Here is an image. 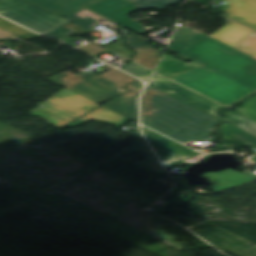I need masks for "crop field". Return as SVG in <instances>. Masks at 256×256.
Instances as JSON below:
<instances>
[{
	"label": "crop field",
	"mask_w": 256,
	"mask_h": 256,
	"mask_svg": "<svg viewBox=\"0 0 256 256\" xmlns=\"http://www.w3.org/2000/svg\"><path fill=\"white\" fill-rule=\"evenodd\" d=\"M226 140L241 141L244 145L256 150V137L231 125L222 126Z\"/></svg>",
	"instance_id": "crop-field-18"
},
{
	"label": "crop field",
	"mask_w": 256,
	"mask_h": 256,
	"mask_svg": "<svg viewBox=\"0 0 256 256\" xmlns=\"http://www.w3.org/2000/svg\"><path fill=\"white\" fill-rule=\"evenodd\" d=\"M87 8L139 34L151 31L149 28L129 17L128 14L140 9L133 2L127 0H103Z\"/></svg>",
	"instance_id": "crop-field-5"
},
{
	"label": "crop field",
	"mask_w": 256,
	"mask_h": 256,
	"mask_svg": "<svg viewBox=\"0 0 256 256\" xmlns=\"http://www.w3.org/2000/svg\"><path fill=\"white\" fill-rule=\"evenodd\" d=\"M225 121L251 133L256 135V122L244 117L238 113L230 112L227 113V117Z\"/></svg>",
	"instance_id": "crop-field-21"
},
{
	"label": "crop field",
	"mask_w": 256,
	"mask_h": 256,
	"mask_svg": "<svg viewBox=\"0 0 256 256\" xmlns=\"http://www.w3.org/2000/svg\"><path fill=\"white\" fill-rule=\"evenodd\" d=\"M128 121H129V120H127V119L124 118L120 123L116 124V126L120 127V126H122L123 124L127 123Z\"/></svg>",
	"instance_id": "crop-field-31"
},
{
	"label": "crop field",
	"mask_w": 256,
	"mask_h": 256,
	"mask_svg": "<svg viewBox=\"0 0 256 256\" xmlns=\"http://www.w3.org/2000/svg\"><path fill=\"white\" fill-rule=\"evenodd\" d=\"M87 101L88 103H84ZM57 110H60L74 118L99 105L79 94L63 89L43 102Z\"/></svg>",
	"instance_id": "crop-field-8"
},
{
	"label": "crop field",
	"mask_w": 256,
	"mask_h": 256,
	"mask_svg": "<svg viewBox=\"0 0 256 256\" xmlns=\"http://www.w3.org/2000/svg\"><path fill=\"white\" fill-rule=\"evenodd\" d=\"M225 4L223 15L256 31V0H220Z\"/></svg>",
	"instance_id": "crop-field-10"
},
{
	"label": "crop field",
	"mask_w": 256,
	"mask_h": 256,
	"mask_svg": "<svg viewBox=\"0 0 256 256\" xmlns=\"http://www.w3.org/2000/svg\"><path fill=\"white\" fill-rule=\"evenodd\" d=\"M145 81H147L151 75V71L131 62L128 65H126L125 67L121 68Z\"/></svg>",
	"instance_id": "crop-field-25"
},
{
	"label": "crop field",
	"mask_w": 256,
	"mask_h": 256,
	"mask_svg": "<svg viewBox=\"0 0 256 256\" xmlns=\"http://www.w3.org/2000/svg\"><path fill=\"white\" fill-rule=\"evenodd\" d=\"M39 108L33 110L31 115L43 118L48 124L57 128L69 123L74 118L57 111L43 103L37 104Z\"/></svg>",
	"instance_id": "crop-field-17"
},
{
	"label": "crop field",
	"mask_w": 256,
	"mask_h": 256,
	"mask_svg": "<svg viewBox=\"0 0 256 256\" xmlns=\"http://www.w3.org/2000/svg\"><path fill=\"white\" fill-rule=\"evenodd\" d=\"M251 32L252 31L230 21L210 37L232 46Z\"/></svg>",
	"instance_id": "crop-field-15"
},
{
	"label": "crop field",
	"mask_w": 256,
	"mask_h": 256,
	"mask_svg": "<svg viewBox=\"0 0 256 256\" xmlns=\"http://www.w3.org/2000/svg\"><path fill=\"white\" fill-rule=\"evenodd\" d=\"M140 6L143 10L155 8L161 10L181 0H131Z\"/></svg>",
	"instance_id": "crop-field-24"
},
{
	"label": "crop field",
	"mask_w": 256,
	"mask_h": 256,
	"mask_svg": "<svg viewBox=\"0 0 256 256\" xmlns=\"http://www.w3.org/2000/svg\"><path fill=\"white\" fill-rule=\"evenodd\" d=\"M0 15L58 40L74 35L59 27L69 21L25 0H0Z\"/></svg>",
	"instance_id": "crop-field-4"
},
{
	"label": "crop field",
	"mask_w": 256,
	"mask_h": 256,
	"mask_svg": "<svg viewBox=\"0 0 256 256\" xmlns=\"http://www.w3.org/2000/svg\"><path fill=\"white\" fill-rule=\"evenodd\" d=\"M104 46L107 47L108 49L126 57V58H129V59H131V57L133 55L132 51L125 48V43L122 38L116 39L115 43L106 44Z\"/></svg>",
	"instance_id": "crop-field-26"
},
{
	"label": "crop field",
	"mask_w": 256,
	"mask_h": 256,
	"mask_svg": "<svg viewBox=\"0 0 256 256\" xmlns=\"http://www.w3.org/2000/svg\"><path fill=\"white\" fill-rule=\"evenodd\" d=\"M210 154H200L194 158H191L185 162H189V163H194V162H197V161H200V160H203L205 159L206 157H208Z\"/></svg>",
	"instance_id": "crop-field-28"
},
{
	"label": "crop field",
	"mask_w": 256,
	"mask_h": 256,
	"mask_svg": "<svg viewBox=\"0 0 256 256\" xmlns=\"http://www.w3.org/2000/svg\"><path fill=\"white\" fill-rule=\"evenodd\" d=\"M233 47L256 58V33H251Z\"/></svg>",
	"instance_id": "crop-field-23"
},
{
	"label": "crop field",
	"mask_w": 256,
	"mask_h": 256,
	"mask_svg": "<svg viewBox=\"0 0 256 256\" xmlns=\"http://www.w3.org/2000/svg\"><path fill=\"white\" fill-rule=\"evenodd\" d=\"M204 176L214 182V184L210 187L214 192L227 190L256 180V174L254 173H252L250 177H246L231 169L222 171L220 173L205 174Z\"/></svg>",
	"instance_id": "crop-field-12"
},
{
	"label": "crop field",
	"mask_w": 256,
	"mask_h": 256,
	"mask_svg": "<svg viewBox=\"0 0 256 256\" xmlns=\"http://www.w3.org/2000/svg\"><path fill=\"white\" fill-rule=\"evenodd\" d=\"M208 38L210 37L194 32L189 28L178 26L176 33L173 35L169 43V48L182 53Z\"/></svg>",
	"instance_id": "crop-field-13"
},
{
	"label": "crop field",
	"mask_w": 256,
	"mask_h": 256,
	"mask_svg": "<svg viewBox=\"0 0 256 256\" xmlns=\"http://www.w3.org/2000/svg\"><path fill=\"white\" fill-rule=\"evenodd\" d=\"M0 37H9V38H13V39H20L16 36L6 32V31L2 30V29H0Z\"/></svg>",
	"instance_id": "crop-field-29"
},
{
	"label": "crop field",
	"mask_w": 256,
	"mask_h": 256,
	"mask_svg": "<svg viewBox=\"0 0 256 256\" xmlns=\"http://www.w3.org/2000/svg\"><path fill=\"white\" fill-rule=\"evenodd\" d=\"M82 123H84V122H82V121H80V120H77V121H75V122L69 124L68 126L62 128L61 130L65 129V128H67V127H72V128H74V127H76V126H78V125H80V124H82Z\"/></svg>",
	"instance_id": "crop-field-30"
},
{
	"label": "crop field",
	"mask_w": 256,
	"mask_h": 256,
	"mask_svg": "<svg viewBox=\"0 0 256 256\" xmlns=\"http://www.w3.org/2000/svg\"><path fill=\"white\" fill-rule=\"evenodd\" d=\"M102 67L109 71L100 76L66 71L48 79L100 104L126 92L122 87L135 80L108 65Z\"/></svg>",
	"instance_id": "crop-field-3"
},
{
	"label": "crop field",
	"mask_w": 256,
	"mask_h": 256,
	"mask_svg": "<svg viewBox=\"0 0 256 256\" xmlns=\"http://www.w3.org/2000/svg\"><path fill=\"white\" fill-rule=\"evenodd\" d=\"M0 28L20 37V38H25V39H33V38H36L38 36H41V35H38V34H35V33H31L17 25H14L8 21H5L3 19L0 18Z\"/></svg>",
	"instance_id": "crop-field-22"
},
{
	"label": "crop field",
	"mask_w": 256,
	"mask_h": 256,
	"mask_svg": "<svg viewBox=\"0 0 256 256\" xmlns=\"http://www.w3.org/2000/svg\"><path fill=\"white\" fill-rule=\"evenodd\" d=\"M57 15H64L79 8L94 4L101 0H27Z\"/></svg>",
	"instance_id": "crop-field-14"
},
{
	"label": "crop field",
	"mask_w": 256,
	"mask_h": 256,
	"mask_svg": "<svg viewBox=\"0 0 256 256\" xmlns=\"http://www.w3.org/2000/svg\"><path fill=\"white\" fill-rule=\"evenodd\" d=\"M146 137L149 139L165 166L175 162L187 160L193 156L198 155L194 150H191L163 135H160L147 128H143Z\"/></svg>",
	"instance_id": "crop-field-7"
},
{
	"label": "crop field",
	"mask_w": 256,
	"mask_h": 256,
	"mask_svg": "<svg viewBox=\"0 0 256 256\" xmlns=\"http://www.w3.org/2000/svg\"><path fill=\"white\" fill-rule=\"evenodd\" d=\"M124 37L129 48L136 52L132 61L154 70L163 54L148 45L149 40L143 38L141 35L130 33Z\"/></svg>",
	"instance_id": "crop-field-9"
},
{
	"label": "crop field",
	"mask_w": 256,
	"mask_h": 256,
	"mask_svg": "<svg viewBox=\"0 0 256 256\" xmlns=\"http://www.w3.org/2000/svg\"><path fill=\"white\" fill-rule=\"evenodd\" d=\"M203 66L172 80L225 106L256 91V59L213 38L180 54Z\"/></svg>",
	"instance_id": "crop-field-1"
},
{
	"label": "crop field",
	"mask_w": 256,
	"mask_h": 256,
	"mask_svg": "<svg viewBox=\"0 0 256 256\" xmlns=\"http://www.w3.org/2000/svg\"><path fill=\"white\" fill-rule=\"evenodd\" d=\"M199 66L201 65L193 61L189 64H186L182 61L175 60L169 56H164L162 62L157 67L156 72L163 74L169 78H172L183 73H186L190 70H193Z\"/></svg>",
	"instance_id": "crop-field-16"
},
{
	"label": "crop field",
	"mask_w": 256,
	"mask_h": 256,
	"mask_svg": "<svg viewBox=\"0 0 256 256\" xmlns=\"http://www.w3.org/2000/svg\"><path fill=\"white\" fill-rule=\"evenodd\" d=\"M149 84L179 99H182L218 118L220 117L217 115V110L223 106L199 94H196L156 73L154 74Z\"/></svg>",
	"instance_id": "crop-field-6"
},
{
	"label": "crop field",
	"mask_w": 256,
	"mask_h": 256,
	"mask_svg": "<svg viewBox=\"0 0 256 256\" xmlns=\"http://www.w3.org/2000/svg\"><path fill=\"white\" fill-rule=\"evenodd\" d=\"M237 112L256 121V96L246 101Z\"/></svg>",
	"instance_id": "crop-field-27"
},
{
	"label": "crop field",
	"mask_w": 256,
	"mask_h": 256,
	"mask_svg": "<svg viewBox=\"0 0 256 256\" xmlns=\"http://www.w3.org/2000/svg\"><path fill=\"white\" fill-rule=\"evenodd\" d=\"M62 17L89 31L92 24L102 18L86 9Z\"/></svg>",
	"instance_id": "crop-field-19"
},
{
	"label": "crop field",
	"mask_w": 256,
	"mask_h": 256,
	"mask_svg": "<svg viewBox=\"0 0 256 256\" xmlns=\"http://www.w3.org/2000/svg\"><path fill=\"white\" fill-rule=\"evenodd\" d=\"M130 90L129 93L103 105L135 122L138 121L137 116V96L143 89L142 82H135L127 87Z\"/></svg>",
	"instance_id": "crop-field-11"
},
{
	"label": "crop field",
	"mask_w": 256,
	"mask_h": 256,
	"mask_svg": "<svg viewBox=\"0 0 256 256\" xmlns=\"http://www.w3.org/2000/svg\"><path fill=\"white\" fill-rule=\"evenodd\" d=\"M142 123L178 141L210 139L220 119L148 85L141 98Z\"/></svg>",
	"instance_id": "crop-field-2"
},
{
	"label": "crop field",
	"mask_w": 256,
	"mask_h": 256,
	"mask_svg": "<svg viewBox=\"0 0 256 256\" xmlns=\"http://www.w3.org/2000/svg\"><path fill=\"white\" fill-rule=\"evenodd\" d=\"M97 109V108H96ZM124 117L120 116L104 107H100L97 110L87 114L80 120L84 122H90L92 120L102 121L110 124H116L120 122Z\"/></svg>",
	"instance_id": "crop-field-20"
}]
</instances>
